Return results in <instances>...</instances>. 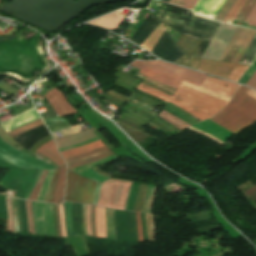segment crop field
Wrapping results in <instances>:
<instances>
[{
    "instance_id": "crop-field-32",
    "label": "crop field",
    "mask_w": 256,
    "mask_h": 256,
    "mask_svg": "<svg viewBox=\"0 0 256 256\" xmlns=\"http://www.w3.org/2000/svg\"><path fill=\"white\" fill-rule=\"evenodd\" d=\"M255 193H256V186H254V187L246 190L245 192H243V195L245 196V198H247V197H249V196H251Z\"/></svg>"
},
{
    "instance_id": "crop-field-16",
    "label": "crop field",
    "mask_w": 256,
    "mask_h": 256,
    "mask_svg": "<svg viewBox=\"0 0 256 256\" xmlns=\"http://www.w3.org/2000/svg\"><path fill=\"white\" fill-rule=\"evenodd\" d=\"M165 30V27L161 23L140 46L151 52V50L161 38Z\"/></svg>"
},
{
    "instance_id": "crop-field-13",
    "label": "crop field",
    "mask_w": 256,
    "mask_h": 256,
    "mask_svg": "<svg viewBox=\"0 0 256 256\" xmlns=\"http://www.w3.org/2000/svg\"><path fill=\"white\" fill-rule=\"evenodd\" d=\"M93 130H95V129L91 128V129L73 134L68 137L56 139L55 141L57 144V148L59 149L62 147H66V146H69L72 144L80 143V142L89 140L91 138L97 137L94 133L91 132Z\"/></svg>"
},
{
    "instance_id": "crop-field-8",
    "label": "crop field",
    "mask_w": 256,
    "mask_h": 256,
    "mask_svg": "<svg viewBox=\"0 0 256 256\" xmlns=\"http://www.w3.org/2000/svg\"><path fill=\"white\" fill-rule=\"evenodd\" d=\"M111 155L113 154L110 152V150L106 146H104L102 148L96 149L94 151L79 156L66 158L65 161L67 162L68 168L71 169L83 164L100 160Z\"/></svg>"
},
{
    "instance_id": "crop-field-1",
    "label": "crop field",
    "mask_w": 256,
    "mask_h": 256,
    "mask_svg": "<svg viewBox=\"0 0 256 256\" xmlns=\"http://www.w3.org/2000/svg\"><path fill=\"white\" fill-rule=\"evenodd\" d=\"M137 89L164 101H170L184 108L201 121L217 114L226 104V102L198 93L182 85L179 86L177 92L172 97L142 84L138 85Z\"/></svg>"
},
{
    "instance_id": "crop-field-10",
    "label": "crop field",
    "mask_w": 256,
    "mask_h": 256,
    "mask_svg": "<svg viewBox=\"0 0 256 256\" xmlns=\"http://www.w3.org/2000/svg\"><path fill=\"white\" fill-rule=\"evenodd\" d=\"M201 87L231 98L238 85L207 76Z\"/></svg>"
},
{
    "instance_id": "crop-field-30",
    "label": "crop field",
    "mask_w": 256,
    "mask_h": 256,
    "mask_svg": "<svg viewBox=\"0 0 256 256\" xmlns=\"http://www.w3.org/2000/svg\"><path fill=\"white\" fill-rule=\"evenodd\" d=\"M246 85L256 88V72L253 74V76L248 80Z\"/></svg>"
},
{
    "instance_id": "crop-field-12",
    "label": "crop field",
    "mask_w": 256,
    "mask_h": 256,
    "mask_svg": "<svg viewBox=\"0 0 256 256\" xmlns=\"http://www.w3.org/2000/svg\"><path fill=\"white\" fill-rule=\"evenodd\" d=\"M40 117L38 116L37 112L35 109H31L18 117L0 125L6 132L15 129L19 126H22L24 124H27L31 121H34L36 119H39Z\"/></svg>"
},
{
    "instance_id": "crop-field-23",
    "label": "crop field",
    "mask_w": 256,
    "mask_h": 256,
    "mask_svg": "<svg viewBox=\"0 0 256 256\" xmlns=\"http://www.w3.org/2000/svg\"><path fill=\"white\" fill-rule=\"evenodd\" d=\"M58 173H59V167L55 169L53 180H52L51 185L48 189L45 202L52 203L54 190H55V187H56L57 182H58Z\"/></svg>"
},
{
    "instance_id": "crop-field-20",
    "label": "crop field",
    "mask_w": 256,
    "mask_h": 256,
    "mask_svg": "<svg viewBox=\"0 0 256 256\" xmlns=\"http://www.w3.org/2000/svg\"><path fill=\"white\" fill-rule=\"evenodd\" d=\"M247 0H237L230 9L224 22L231 24Z\"/></svg>"
},
{
    "instance_id": "crop-field-33",
    "label": "crop field",
    "mask_w": 256,
    "mask_h": 256,
    "mask_svg": "<svg viewBox=\"0 0 256 256\" xmlns=\"http://www.w3.org/2000/svg\"><path fill=\"white\" fill-rule=\"evenodd\" d=\"M55 209H56V217H57L58 233H59V236H62V233H61V227H60V219H59V209H58V205H55Z\"/></svg>"
},
{
    "instance_id": "crop-field-14",
    "label": "crop field",
    "mask_w": 256,
    "mask_h": 256,
    "mask_svg": "<svg viewBox=\"0 0 256 256\" xmlns=\"http://www.w3.org/2000/svg\"><path fill=\"white\" fill-rule=\"evenodd\" d=\"M255 4L256 0H248L243 9L241 10L240 14L237 16L236 20L245 22L248 14L250 13ZM246 22L249 23L250 26H256V5L249 14Z\"/></svg>"
},
{
    "instance_id": "crop-field-17",
    "label": "crop field",
    "mask_w": 256,
    "mask_h": 256,
    "mask_svg": "<svg viewBox=\"0 0 256 256\" xmlns=\"http://www.w3.org/2000/svg\"><path fill=\"white\" fill-rule=\"evenodd\" d=\"M100 146H104V144L100 140H98V141L86 144L82 147H79V148H76L73 150L61 152V155L63 156V158H66V157H70V156H74V155H78V154H82V153L91 151Z\"/></svg>"
},
{
    "instance_id": "crop-field-24",
    "label": "crop field",
    "mask_w": 256,
    "mask_h": 256,
    "mask_svg": "<svg viewBox=\"0 0 256 256\" xmlns=\"http://www.w3.org/2000/svg\"><path fill=\"white\" fill-rule=\"evenodd\" d=\"M47 173H48V171H45V170L42 171V173H41V175L38 179V182H37L35 188L33 189L32 193L29 197L30 200H35L36 199V197H37V195L40 191V188H41V186H42V184L45 180V177H46Z\"/></svg>"
},
{
    "instance_id": "crop-field-31",
    "label": "crop field",
    "mask_w": 256,
    "mask_h": 256,
    "mask_svg": "<svg viewBox=\"0 0 256 256\" xmlns=\"http://www.w3.org/2000/svg\"><path fill=\"white\" fill-rule=\"evenodd\" d=\"M59 209H60V219H61L62 233H63V236L66 237L65 227H64V221H63L62 205H59Z\"/></svg>"
},
{
    "instance_id": "crop-field-3",
    "label": "crop field",
    "mask_w": 256,
    "mask_h": 256,
    "mask_svg": "<svg viewBox=\"0 0 256 256\" xmlns=\"http://www.w3.org/2000/svg\"><path fill=\"white\" fill-rule=\"evenodd\" d=\"M140 62L134 61L131 65L141 69L139 73L175 88L181 83L179 79L200 86L206 78V75L159 61Z\"/></svg>"
},
{
    "instance_id": "crop-field-25",
    "label": "crop field",
    "mask_w": 256,
    "mask_h": 256,
    "mask_svg": "<svg viewBox=\"0 0 256 256\" xmlns=\"http://www.w3.org/2000/svg\"><path fill=\"white\" fill-rule=\"evenodd\" d=\"M236 0H227L224 6L221 8L217 16L215 17L216 20L223 21L224 17L227 15L229 9L234 4Z\"/></svg>"
},
{
    "instance_id": "crop-field-9",
    "label": "crop field",
    "mask_w": 256,
    "mask_h": 256,
    "mask_svg": "<svg viewBox=\"0 0 256 256\" xmlns=\"http://www.w3.org/2000/svg\"><path fill=\"white\" fill-rule=\"evenodd\" d=\"M54 110L57 112L59 117L76 113L69 103L65 101L63 94L56 88L52 89L49 93L44 96Z\"/></svg>"
},
{
    "instance_id": "crop-field-4",
    "label": "crop field",
    "mask_w": 256,
    "mask_h": 256,
    "mask_svg": "<svg viewBox=\"0 0 256 256\" xmlns=\"http://www.w3.org/2000/svg\"><path fill=\"white\" fill-rule=\"evenodd\" d=\"M95 183L68 171L66 200L91 204Z\"/></svg>"
},
{
    "instance_id": "crop-field-27",
    "label": "crop field",
    "mask_w": 256,
    "mask_h": 256,
    "mask_svg": "<svg viewBox=\"0 0 256 256\" xmlns=\"http://www.w3.org/2000/svg\"><path fill=\"white\" fill-rule=\"evenodd\" d=\"M198 0H169V3L187 7L190 10L194 7Z\"/></svg>"
},
{
    "instance_id": "crop-field-21",
    "label": "crop field",
    "mask_w": 256,
    "mask_h": 256,
    "mask_svg": "<svg viewBox=\"0 0 256 256\" xmlns=\"http://www.w3.org/2000/svg\"><path fill=\"white\" fill-rule=\"evenodd\" d=\"M158 116L162 117L163 119H165L166 121L170 122L171 124H173L174 126L178 127L181 130H183L186 127L190 126V125H188V124L178 120L175 116L167 113L164 110Z\"/></svg>"
},
{
    "instance_id": "crop-field-6",
    "label": "crop field",
    "mask_w": 256,
    "mask_h": 256,
    "mask_svg": "<svg viewBox=\"0 0 256 256\" xmlns=\"http://www.w3.org/2000/svg\"><path fill=\"white\" fill-rule=\"evenodd\" d=\"M237 28L222 23L203 58L219 60Z\"/></svg>"
},
{
    "instance_id": "crop-field-15",
    "label": "crop field",
    "mask_w": 256,
    "mask_h": 256,
    "mask_svg": "<svg viewBox=\"0 0 256 256\" xmlns=\"http://www.w3.org/2000/svg\"><path fill=\"white\" fill-rule=\"evenodd\" d=\"M36 152H39L42 155L48 157L58 166L64 163L54 146L53 140L49 141L47 144L39 148Z\"/></svg>"
},
{
    "instance_id": "crop-field-11",
    "label": "crop field",
    "mask_w": 256,
    "mask_h": 256,
    "mask_svg": "<svg viewBox=\"0 0 256 256\" xmlns=\"http://www.w3.org/2000/svg\"><path fill=\"white\" fill-rule=\"evenodd\" d=\"M224 2L225 0H199L192 11L197 15L214 19Z\"/></svg>"
},
{
    "instance_id": "crop-field-19",
    "label": "crop field",
    "mask_w": 256,
    "mask_h": 256,
    "mask_svg": "<svg viewBox=\"0 0 256 256\" xmlns=\"http://www.w3.org/2000/svg\"><path fill=\"white\" fill-rule=\"evenodd\" d=\"M95 218H96L98 236L106 237L105 224H104V208L96 206Z\"/></svg>"
},
{
    "instance_id": "crop-field-18",
    "label": "crop field",
    "mask_w": 256,
    "mask_h": 256,
    "mask_svg": "<svg viewBox=\"0 0 256 256\" xmlns=\"http://www.w3.org/2000/svg\"><path fill=\"white\" fill-rule=\"evenodd\" d=\"M65 173H66V165H63L60 167L59 182L55 190L53 203H62L63 192L65 187Z\"/></svg>"
},
{
    "instance_id": "crop-field-22",
    "label": "crop field",
    "mask_w": 256,
    "mask_h": 256,
    "mask_svg": "<svg viewBox=\"0 0 256 256\" xmlns=\"http://www.w3.org/2000/svg\"><path fill=\"white\" fill-rule=\"evenodd\" d=\"M42 124L43 123H42L41 119H39L37 121L31 122V123H29L27 125H24V126H22L20 128L12 130V131L8 132V134L13 138L15 136H18V135H20V134H22V133H24V132H26L28 130H31V129L37 127V126H40Z\"/></svg>"
},
{
    "instance_id": "crop-field-5",
    "label": "crop field",
    "mask_w": 256,
    "mask_h": 256,
    "mask_svg": "<svg viewBox=\"0 0 256 256\" xmlns=\"http://www.w3.org/2000/svg\"><path fill=\"white\" fill-rule=\"evenodd\" d=\"M248 67V65L229 64L201 59L197 70L237 82Z\"/></svg>"
},
{
    "instance_id": "crop-field-29",
    "label": "crop field",
    "mask_w": 256,
    "mask_h": 256,
    "mask_svg": "<svg viewBox=\"0 0 256 256\" xmlns=\"http://www.w3.org/2000/svg\"><path fill=\"white\" fill-rule=\"evenodd\" d=\"M94 210H95V206H91V224H92V232H93V236H94V237H97V234H96V227H95Z\"/></svg>"
},
{
    "instance_id": "crop-field-2",
    "label": "crop field",
    "mask_w": 256,
    "mask_h": 256,
    "mask_svg": "<svg viewBox=\"0 0 256 256\" xmlns=\"http://www.w3.org/2000/svg\"><path fill=\"white\" fill-rule=\"evenodd\" d=\"M247 90L248 88L240 86L229 104L210 119L235 134L254 124L256 100L245 94Z\"/></svg>"
},
{
    "instance_id": "crop-field-28",
    "label": "crop field",
    "mask_w": 256,
    "mask_h": 256,
    "mask_svg": "<svg viewBox=\"0 0 256 256\" xmlns=\"http://www.w3.org/2000/svg\"><path fill=\"white\" fill-rule=\"evenodd\" d=\"M136 219H137L139 241H143L141 217H140V213H138V212H136Z\"/></svg>"
},
{
    "instance_id": "crop-field-7",
    "label": "crop field",
    "mask_w": 256,
    "mask_h": 256,
    "mask_svg": "<svg viewBox=\"0 0 256 256\" xmlns=\"http://www.w3.org/2000/svg\"><path fill=\"white\" fill-rule=\"evenodd\" d=\"M256 31L245 29L239 27L237 32L235 33L234 37L230 41L229 45L223 52L220 60L224 61L228 51L230 50L232 45L240 47L238 52L236 53L235 57L233 58L232 62L238 63L244 52L246 51L250 41L252 40L253 36L255 35Z\"/></svg>"
},
{
    "instance_id": "crop-field-34",
    "label": "crop field",
    "mask_w": 256,
    "mask_h": 256,
    "mask_svg": "<svg viewBox=\"0 0 256 256\" xmlns=\"http://www.w3.org/2000/svg\"><path fill=\"white\" fill-rule=\"evenodd\" d=\"M83 205V228H84V235H87V231H86V219H85V209H86V205Z\"/></svg>"
},
{
    "instance_id": "crop-field-35",
    "label": "crop field",
    "mask_w": 256,
    "mask_h": 256,
    "mask_svg": "<svg viewBox=\"0 0 256 256\" xmlns=\"http://www.w3.org/2000/svg\"><path fill=\"white\" fill-rule=\"evenodd\" d=\"M248 95H250L251 97L255 98L256 99V92L252 91V90H248V92L246 93Z\"/></svg>"
},
{
    "instance_id": "crop-field-26",
    "label": "crop field",
    "mask_w": 256,
    "mask_h": 256,
    "mask_svg": "<svg viewBox=\"0 0 256 256\" xmlns=\"http://www.w3.org/2000/svg\"><path fill=\"white\" fill-rule=\"evenodd\" d=\"M29 231L35 234L31 201H25Z\"/></svg>"
}]
</instances>
